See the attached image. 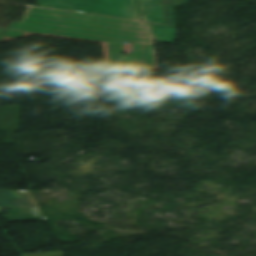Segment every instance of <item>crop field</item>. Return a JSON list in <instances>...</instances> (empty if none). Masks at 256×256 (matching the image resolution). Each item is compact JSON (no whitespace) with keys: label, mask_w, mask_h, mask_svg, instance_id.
<instances>
[{"label":"crop field","mask_w":256,"mask_h":256,"mask_svg":"<svg viewBox=\"0 0 256 256\" xmlns=\"http://www.w3.org/2000/svg\"><path fill=\"white\" fill-rule=\"evenodd\" d=\"M24 31L109 42L111 69L155 68L151 24L27 8L22 21L13 23L4 36L21 38ZM122 42H135L134 52L124 55Z\"/></svg>","instance_id":"1"},{"label":"crop field","mask_w":256,"mask_h":256,"mask_svg":"<svg viewBox=\"0 0 256 256\" xmlns=\"http://www.w3.org/2000/svg\"><path fill=\"white\" fill-rule=\"evenodd\" d=\"M42 7L141 20L136 0H37Z\"/></svg>","instance_id":"2"},{"label":"crop field","mask_w":256,"mask_h":256,"mask_svg":"<svg viewBox=\"0 0 256 256\" xmlns=\"http://www.w3.org/2000/svg\"><path fill=\"white\" fill-rule=\"evenodd\" d=\"M0 206L38 207L30 191H0Z\"/></svg>","instance_id":"3"},{"label":"crop field","mask_w":256,"mask_h":256,"mask_svg":"<svg viewBox=\"0 0 256 256\" xmlns=\"http://www.w3.org/2000/svg\"><path fill=\"white\" fill-rule=\"evenodd\" d=\"M143 21L165 24L161 0H138Z\"/></svg>","instance_id":"4"},{"label":"crop field","mask_w":256,"mask_h":256,"mask_svg":"<svg viewBox=\"0 0 256 256\" xmlns=\"http://www.w3.org/2000/svg\"><path fill=\"white\" fill-rule=\"evenodd\" d=\"M44 215V214H43ZM40 209H10V215H0L9 222L45 220Z\"/></svg>","instance_id":"5"},{"label":"crop field","mask_w":256,"mask_h":256,"mask_svg":"<svg viewBox=\"0 0 256 256\" xmlns=\"http://www.w3.org/2000/svg\"><path fill=\"white\" fill-rule=\"evenodd\" d=\"M153 38L155 41L174 44L176 28L152 24Z\"/></svg>","instance_id":"6"},{"label":"crop field","mask_w":256,"mask_h":256,"mask_svg":"<svg viewBox=\"0 0 256 256\" xmlns=\"http://www.w3.org/2000/svg\"><path fill=\"white\" fill-rule=\"evenodd\" d=\"M166 25L175 26L173 6L189 4L188 0H162Z\"/></svg>","instance_id":"7"},{"label":"crop field","mask_w":256,"mask_h":256,"mask_svg":"<svg viewBox=\"0 0 256 256\" xmlns=\"http://www.w3.org/2000/svg\"><path fill=\"white\" fill-rule=\"evenodd\" d=\"M22 256H65L63 252H51V253H30L21 254Z\"/></svg>","instance_id":"8"}]
</instances>
